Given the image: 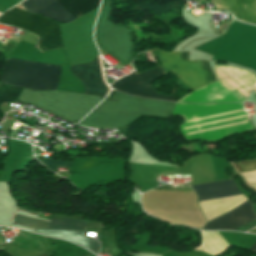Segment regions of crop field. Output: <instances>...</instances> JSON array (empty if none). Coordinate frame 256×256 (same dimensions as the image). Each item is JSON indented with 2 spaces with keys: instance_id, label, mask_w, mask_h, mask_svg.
<instances>
[{
  "instance_id": "8a807250",
  "label": "crop field",
  "mask_w": 256,
  "mask_h": 256,
  "mask_svg": "<svg viewBox=\"0 0 256 256\" xmlns=\"http://www.w3.org/2000/svg\"><path fill=\"white\" fill-rule=\"evenodd\" d=\"M174 114L182 115L179 126L187 141L215 140L224 136L252 130L246 112L240 104H181L177 103Z\"/></svg>"
},
{
  "instance_id": "ac0d7876",
  "label": "crop field",
  "mask_w": 256,
  "mask_h": 256,
  "mask_svg": "<svg viewBox=\"0 0 256 256\" xmlns=\"http://www.w3.org/2000/svg\"><path fill=\"white\" fill-rule=\"evenodd\" d=\"M216 82L184 97L180 102H242L256 93V75L236 68L215 65Z\"/></svg>"
},
{
  "instance_id": "34b2d1b8",
  "label": "crop field",
  "mask_w": 256,
  "mask_h": 256,
  "mask_svg": "<svg viewBox=\"0 0 256 256\" xmlns=\"http://www.w3.org/2000/svg\"><path fill=\"white\" fill-rule=\"evenodd\" d=\"M198 201L242 194L233 180L193 186ZM256 219L253 204L248 200L236 209L208 222L202 230H236Z\"/></svg>"
},
{
  "instance_id": "412701ff",
  "label": "crop field",
  "mask_w": 256,
  "mask_h": 256,
  "mask_svg": "<svg viewBox=\"0 0 256 256\" xmlns=\"http://www.w3.org/2000/svg\"><path fill=\"white\" fill-rule=\"evenodd\" d=\"M59 72L60 67L56 65L8 59L2 71L1 82L32 90H56Z\"/></svg>"
},
{
  "instance_id": "f4fd0767",
  "label": "crop field",
  "mask_w": 256,
  "mask_h": 256,
  "mask_svg": "<svg viewBox=\"0 0 256 256\" xmlns=\"http://www.w3.org/2000/svg\"><path fill=\"white\" fill-rule=\"evenodd\" d=\"M160 53L163 67L195 91L215 81L209 60L189 61V52Z\"/></svg>"
},
{
  "instance_id": "dd49c442",
  "label": "crop field",
  "mask_w": 256,
  "mask_h": 256,
  "mask_svg": "<svg viewBox=\"0 0 256 256\" xmlns=\"http://www.w3.org/2000/svg\"><path fill=\"white\" fill-rule=\"evenodd\" d=\"M0 20L37 34L40 38L39 48L41 51H47L63 46L59 25L38 14H31L13 8L1 15Z\"/></svg>"
},
{
  "instance_id": "e52e79f7",
  "label": "crop field",
  "mask_w": 256,
  "mask_h": 256,
  "mask_svg": "<svg viewBox=\"0 0 256 256\" xmlns=\"http://www.w3.org/2000/svg\"><path fill=\"white\" fill-rule=\"evenodd\" d=\"M75 19L98 7L100 0H56ZM55 0H26L22 4L26 11L39 13L59 22H70L74 18Z\"/></svg>"
},
{
  "instance_id": "d8731c3e",
  "label": "crop field",
  "mask_w": 256,
  "mask_h": 256,
  "mask_svg": "<svg viewBox=\"0 0 256 256\" xmlns=\"http://www.w3.org/2000/svg\"><path fill=\"white\" fill-rule=\"evenodd\" d=\"M162 72L164 70L158 67L153 70H147L139 75L132 73L111 84V86L117 90L140 97L175 101V97L157 92L151 84L154 79L161 77Z\"/></svg>"
},
{
  "instance_id": "5a996713",
  "label": "crop field",
  "mask_w": 256,
  "mask_h": 256,
  "mask_svg": "<svg viewBox=\"0 0 256 256\" xmlns=\"http://www.w3.org/2000/svg\"><path fill=\"white\" fill-rule=\"evenodd\" d=\"M85 224L86 220L51 219L49 229L85 230ZM35 232L73 241L95 254L99 251V243L92 238H87L85 231L35 229Z\"/></svg>"
},
{
  "instance_id": "3316defc",
  "label": "crop field",
  "mask_w": 256,
  "mask_h": 256,
  "mask_svg": "<svg viewBox=\"0 0 256 256\" xmlns=\"http://www.w3.org/2000/svg\"><path fill=\"white\" fill-rule=\"evenodd\" d=\"M70 72L81 80L85 93L105 96L108 88L102 81L97 57L91 63L71 66Z\"/></svg>"
},
{
  "instance_id": "28ad6ade",
  "label": "crop field",
  "mask_w": 256,
  "mask_h": 256,
  "mask_svg": "<svg viewBox=\"0 0 256 256\" xmlns=\"http://www.w3.org/2000/svg\"><path fill=\"white\" fill-rule=\"evenodd\" d=\"M216 9L231 10L237 19L256 24V0H212Z\"/></svg>"
},
{
  "instance_id": "d1516ede",
  "label": "crop field",
  "mask_w": 256,
  "mask_h": 256,
  "mask_svg": "<svg viewBox=\"0 0 256 256\" xmlns=\"http://www.w3.org/2000/svg\"><path fill=\"white\" fill-rule=\"evenodd\" d=\"M229 247V244L218 232H202L201 243L193 250L203 251L210 255H218L223 254Z\"/></svg>"
},
{
  "instance_id": "22f410ed",
  "label": "crop field",
  "mask_w": 256,
  "mask_h": 256,
  "mask_svg": "<svg viewBox=\"0 0 256 256\" xmlns=\"http://www.w3.org/2000/svg\"><path fill=\"white\" fill-rule=\"evenodd\" d=\"M232 164L239 170V172L250 171L256 169V159L235 161ZM248 184L256 189V170L250 172L241 173Z\"/></svg>"
},
{
  "instance_id": "cbeb9de0",
  "label": "crop field",
  "mask_w": 256,
  "mask_h": 256,
  "mask_svg": "<svg viewBox=\"0 0 256 256\" xmlns=\"http://www.w3.org/2000/svg\"><path fill=\"white\" fill-rule=\"evenodd\" d=\"M14 223L22 226L32 227V228H45L48 229L49 222L39 219L29 218L21 215H15Z\"/></svg>"
},
{
  "instance_id": "5142ce71",
  "label": "crop field",
  "mask_w": 256,
  "mask_h": 256,
  "mask_svg": "<svg viewBox=\"0 0 256 256\" xmlns=\"http://www.w3.org/2000/svg\"><path fill=\"white\" fill-rule=\"evenodd\" d=\"M19 209L22 210V211H24V212H26V213H29V214L34 215V212H32V211L26 210V209L21 208V207H19Z\"/></svg>"
},
{
  "instance_id": "d9b57169",
  "label": "crop field",
  "mask_w": 256,
  "mask_h": 256,
  "mask_svg": "<svg viewBox=\"0 0 256 256\" xmlns=\"http://www.w3.org/2000/svg\"><path fill=\"white\" fill-rule=\"evenodd\" d=\"M249 250H251V251H253V252H255V253H256V244H255V245H253Z\"/></svg>"
},
{
  "instance_id": "733c2abd",
  "label": "crop field",
  "mask_w": 256,
  "mask_h": 256,
  "mask_svg": "<svg viewBox=\"0 0 256 256\" xmlns=\"http://www.w3.org/2000/svg\"><path fill=\"white\" fill-rule=\"evenodd\" d=\"M41 256H47L46 254H44V255H41Z\"/></svg>"
},
{
  "instance_id": "4a817a6b",
  "label": "crop field",
  "mask_w": 256,
  "mask_h": 256,
  "mask_svg": "<svg viewBox=\"0 0 256 256\" xmlns=\"http://www.w3.org/2000/svg\"><path fill=\"white\" fill-rule=\"evenodd\" d=\"M0 233H1V231H0Z\"/></svg>"
}]
</instances>
